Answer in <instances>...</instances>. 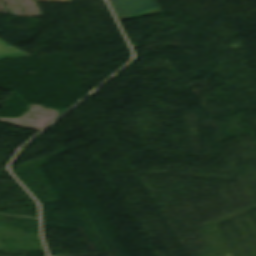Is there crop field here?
Segmentation results:
<instances>
[{
	"instance_id": "2",
	"label": "crop field",
	"mask_w": 256,
	"mask_h": 256,
	"mask_svg": "<svg viewBox=\"0 0 256 256\" xmlns=\"http://www.w3.org/2000/svg\"><path fill=\"white\" fill-rule=\"evenodd\" d=\"M28 55L29 54L21 51L20 49L0 39V59L28 56Z\"/></svg>"
},
{
	"instance_id": "1",
	"label": "crop field",
	"mask_w": 256,
	"mask_h": 256,
	"mask_svg": "<svg viewBox=\"0 0 256 256\" xmlns=\"http://www.w3.org/2000/svg\"><path fill=\"white\" fill-rule=\"evenodd\" d=\"M118 19L162 13L156 0H109Z\"/></svg>"
},
{
	"instance_id": "3",
	"label": "crop field",
	"mask_w": 256,
	"mask_h": 256,
	"mask_svg": "<svg viewBox=\"0 0 256 256\" xmlns=\"http://www.w3.org/2000/svg\"><path fill=\"white\" fill-rule=\"evenodd\" d=\"M36 1L72 2V0H36Z\"/></svg>"
}]
</instances>
